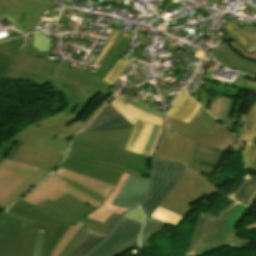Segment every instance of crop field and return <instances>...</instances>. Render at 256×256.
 Masks as SVG:
<instances>
[{"label": "crop field", "instance_id": "1", "mask_svg": "<svg viewBox=\"0 0 256 256\" xmlns=\"http://www.w3.org/2000/svg\"><path fill=\"white\" fill-rule=\"evenodd\" d=\"M93 210L94 208L91 206L67 194L54 202L48 199L34 207L18 200L6 211L23 219L33 221L30 229L44 230L42 256H50L58 242L72 226L77 227L79 224L84 223L59 255L61 256L86 225L109 232L119 218V216L113 214L101 224L85 217Z\"/></svg>", "mask_w": 256, "mask_h": 256}, {"label": "crop field", "instance_id": "2", "mask_svg": "<svg viewBox=\"0 0 256 256\" xmlns=\"http://www.w3.org/2000/svg\"><path fill=\"white\" fill-rule=\"evenodd\" d=\"M166 128L157 158L186 166V172L158 205L180 216H184L207 201L218 188L209 183L200 172L187 168L195 142Z\"/></svg>", "mask_w": 256, "mask_h": 256}, {"label": "crop field", "instance_id": "3", "mask_svg": "<svg viewBox=\"0 0 256 256\" xmlns=\"http://www.w3.org/2000/svg\"><path fill=\"white\" fill-rule=\"evenodd\" d=\"M150 157L74 138L60 167L116 185L123 171L141 176L125 168L133 164L146 168Z\"/></svg>", "mask_w": 256, "mask_h": 256}, {"label": "crop field", "instance_id": "4", "mask_svg": "<svg viewBox=\"0 0 256 256\" xmlns=\"http://www.w3.org/2000/svg\"><path fill=\"white\" fill-rule=\"evenodd\" d=\"M69 146V140L38 127L18 140L5 158L53 171Z\"/></svg>", "mask_w": 256, "mask_h": 256}, {"label": "crop field", "instance_id": "5", "mask_svg": "<svg viewBox=\"0 0 256 256\" xmlns=\"http://www.w3.org/2000/svg\"><path fill=\"white\" fill-rule=\"evenodd\" d=\"M26 46L27 50H19L9 67L11 71L4 78L33 81L41 86L55 89L63 94L68 102L66 108L62 111L67 114L72 113L77 106V97L63 85L55 83L63 64L52 63L47 59L35 58L37 48L32 49V42H26Z\"/></svg>", "mask_w": 256, "mask_h": 256}, {"label": "crop field", "instance_id": "6", "mask_svg": "<svg viewBox=\"0 0 256 256\" xmlns=\"http://www.w3.org/2000/svg\"><path fill=\"white\" fill-rule=\"evenodd\" d=\"M63 176L106 197H109L114 189V186L58 167L55 172H53L48 178H46L32 190H30V192L21 198V200L34 206L48 198L54 201L69 193L83 200L94 208H98L101 205V203L87 197L86 195L63 182Z\"/></svg>", "mask_w": 256, "mask_h": 256}, {"label": "crop field", "instance_id": "7", "mask_svg": "<svg viewBox=\"0 0 256 256\" xmlns=\"http://www.w3.org/2000/svg\"><path fill=\"white\" fill-rule=\"evenodd\" d=\"M131 40L132 38L123 36L117 50L111 52L94 75L65 67L63 68L57 82L69 88L79 99L78 106L73 114L77 116L85 104L98 93H101L104 96L109 94L107 91L111 86L101 80L121 54L129 50Z\"/></svg>", "mask_w": 256, "mask_h": 256}, {"label": "crop field", "instance_id": "8", "mask_svg": "<svg viewBox=\"0 0 256 256\" xmlns=\"http://www.w3.org/2000/svg\"><path fill=\"white\" fill-rule=\"evenodd\" d=\"M31 223L6 212L0 215V256H32L36 231L29 230Z\"/></svg>", "mask_w": 256, "mask_h": 256}, {"label": "crop field", "instance_id": "9", "mask_svg": "<svg viewBox=\"0 0 256 256\" xmlns=\"http://www.w3.org/2000/svg\"><path fill=\"white\" fill-rule=\"evenodd\" d=\"M185 171V167L171 164L160 159L155 160V172L148 195L141 204L145 215L149 216L155 207L170 192Z\"/></svg>", "mask_w": 256, "mask_h": 256}, {"label": "crop field", "instance_id": "10", "mask_svg": "<svg viewBox=\"0 0 256 256\" xmlns=\"http://www.w3.org/2000/svg\"><path fill=\"white\" fill-rule=\"evenodd\" d=\"M113 97V95L109 94L107 98L100 104V106L92 113V115L85 121L82 122L81 120H78L77 117L70 114L67 115L64 112L60 111L54 116L37 121L35 123H32L28 125L25 129H23L20 133L16 134L15 136L9 138L17 141L20 139L23 135H25L27 132L32 130L33 128L40 126L56 135L62 136L71 139V137L77 132L82 130L83 128L87 127L93 119L96 117L99 110ZM101 111V110H100Z\"/></svg>", "mask_w": 256, "mask_h": 256}, {"label": "crop field", "instance_id": "11", "mask_svg": "<svg viewBox=\"0 0 256 256\" xmlns=\"http://www.w3.org/2000/svg\"><path fill=\"white\" fill-rule=\"evenodd\" d=\"M141 223L122 218L110 236L86 256H117L138 243Z\"/></svg>", "mask_w": 256, "mask_h": 256}, {"label": "crop field", "instance_id": "12", "mask_svg": "<svg viewBox=\"0 0 256 256\" xmlns=\"http://www.w3.org/2000/svg\"><path fill=\"white\" fill-rule=\"evenodd\" d=\"M167 125L187 137L203 143L219 152L229 149L230 145L237 138L228 129L224 128L219 122L215 124L210 132L191 126L168 117Z\"/></svg>", "mask_w": 256, "mask_h": 256}, {"label": "crop field", "instance_id": "13", "mask_svg": "<svg viewBox=\"0 0 256 256\" xmlns=\"http://www.w3.org/2000/svg\"><path fill=\"white\" fill-rule=\"evenodd\" d=\"M239 203L235 202L216 217L201 214L192 236L187 256H191L196 244L218 246L222 237L227 219L233 213Z\"/></svg>", "mask_w": 256, "mask_h": 256}, {"label": "crop field", "instance_id": "14", "mask_svg": "<svg viewBox=\"0 0 256 256\" xmlns=\"http://www.w3.org/2000/svg\"><path fill=\"white\" fill-rule=\"evenodd\" d=\"M38 169L39 167L4 159L0 164V204Z\"/></svg>", "mask_w": 256, "mask_h": 256}, {"label": "crop field", "instance_id": "15", "mask_svg": "<svg viewBox=\"0 0 256 256\" xmlns=\"http://www.w3.org/2000/svg\"><path fill=\"white\" fill-rule=\"evenodd\" d=\"M7 2L24 12L16 22H18L26 32L34 28L43 12L57 7L51 2L47 3L43 0H9Z\"/></svg>", "mask_w": 256, "mask_h": 256}, {"label": "crop field", "instance_id": "16", "mask_svg": "<svg viewBox=\"0 0 256 256\" xmlns=\"http://www.w3.org/2000/svg\"><path fill=\"white\" fill-rule=\"evenodd\" d=\"M238 138L247 142L244 148L247 169L256 171V102L252 104Z\"/></svg>", "mask_w": 256, "mask_h": 256}, {"label": "crop field", "instance_id": "17", "mask_svg": "<svg viewBox=\"0 0 256 256\" xmlns=\"http://www.w3.org/2000/svg\"><path fill=\"white\" fill-rule=\"evenodd\" d=\"M132 127V123L108 103L85 131H114Z\"/></svg>", "mask_w": 256, "mask_h": 256}, {"label": "crop field", "instance_id": "18", "mask_svg": "<svg viewBox=\"0 0 256 256\" xmlns=\"http://www.w3.org/2000/svg\"><path fill=\"white\" fill-rule=\"evenodd\" d=\"M147 185L148 179L130 174L123 190L114 200L113 204L132 208L143 197Z\"/></svg>", "mask_w": 256, "mask_h": 256}, {"label": "crop field", "instance_id": "19", "mask_svg": "<svg viewBox=\"0 0 256 256\" xmlns=\"http://www.w3.org/2000/svg\"><path fill=\"white\" fill-rule=\"evenodd\" d=\"M222 153L196 142L189 168L213 174L217 164L221 161Z\"/></svg>", "mask_w": 256, "mask_h": 256}, {"label": "crop field", "instance_id": "20", "mask_svg": "<svg viewBox=\"0 0 256 256\" xmlns=\"http://www.w3.org/2000/svg\"><path fill=\"white\" fill-rule=\"evenodd\" d=\"M221 49L211 48L213 56L223 65L256 76V63L248 62L237 56L228 43H221Z\"/></svg>", "mask_w": 256, "mask_h": 256}, {"label": "crop field", "instance_id": "21", "mask_svg": "<svg viewBox=\"0 0 256 256\" xmlns=\"http://www.w3.org/2000/svg\"><path fill=\"white\" fill-rule=\"evenodd\" d=\"M132 129L118 130L114 132L80 131L75 137L123 149Z\"/></svg>", "mask_w": 256, "mask_h": 256}, {"label": "crop field", "instance_id": "22", "mask_svg": "<svg viewBox=\"0 0 256 256\" xmlns=\"http://www.w3.org/2000/svg\"><path fill=\"white\" fill-rule=\"evenodd\" d=\"M129 176V173L123 172L122 177L120 178L118 184L116 185L115 190L110 195L109 198L102 204V206L98 209H95L92 213H90L87 217L96 220L98 222L103 223L107 218H109L113 213L122 215L124 212H126L128 209L123 208L117 205L111 204L113 200L116 198V196L121 191L127 177Z\"/></svg>", "mask_w": 256, "mask_h": 256}, {"label": "crop field", "instance_id": "23", "mask_svg": "<svg viewBox=\"0 0 256 256\" xmlns=\"http://www.w3.org/2000/svg\"><path fill=\"white\" fill-rule=\"evenodd\" d=\"M214 72L215 69L212 72L208 71L202 75L201 79L208 81L206 86L221 92L222 95L229 97L236 96L239 94L240 86L245 78V75L240 73L233 83L225 81L224 83H222L217 82L216 80H214L213 77H210Z\"/></svg>", "mask_w": 256, "mask_h": 256}, {"label": "crop field", "instance_id": "24", "mask_svg": "<svg viewBox=\"0 0 256 256\" xmlns=\"http://www.w3.org/2000/svg\"><path fill=\"white\" fill-rule=\"evenodd\" d=\"M51 171L40 168L34 175L28 177L2 204L1 208L6 209L27 191H29L33 186L42 181L47 177Z\"/></svg>", "mask_w": 256, "mask_h": 256}, {"label": "crop field", "instance_id": "25", "mask_svg": "<svg viewBox=\"0 0 256 256\" xmlns=\"http://www.w3.org/2000/svg\"><path fill=\"white\" fill-rule=\"evenodd\" d=\"M234 198L248 206H252L256 201V176L251 175L247 182L238 190Z\"/></svg>", "mask_w": 256, "mask_h": 256}, {"label": "crop field", "instance_id": "26", "mask_svg": "<svg viewBox=\"0 0 256 256\" xmlns=\"http://www.w3.org/2000/svg\"><path fill=\"white\" fill-rule=\"evenodd\" d=\"M122 109H124L128 114H130L132 117L136 118V119H139L141 121H145V122H149V123H153V124H157V125H161L163 126V122L164 120L158 118V117H155V116H152L150 114H147V113H144L130 105H124L118 97H114L113 99Z\"/></svg>", "mask_w": 256, "mask_h": 256}, {"label": "crop field", "instance_id": "27", "mask_svg": "<svg viewBox=\"0 0 256 256\" xmlns=\"http://www.w3.org/2000/svg\"><path fill=\"white\" fill-rule=\"evenodd\" d=\"M165 224L151 217H146L140 237L141 246L148 242Z\"/></svg>", "mask_w": 256, "mask_h": 256}, {"label": "crop field", "instance_id": "28", "mask_svg": "<svg viewBox=\"0 0 256 256\" xmlns=\"http://www.w3.org/2000/svg\"><path fill=\"white\" fill-rule=\"evenodd\" d=\"M245 100L240 99L239 101H235V99L230 100L228 107L224 113V116L221 120L222 124L230 129H232L235 118L238 115L240 107Z\"/></svg>", "mask_w": 256, "mask_h": 256}, {"label": "crop field", "instance_id": "29", "mask_svg": "<svg viewBox=\"0 0 256 256\" xmlns=\"http://www.w3.org/2000/svg\"><path fill=\"white\" fill-rule=\"evenodd\" d=\"M248 207L240 204L237 209L234 211V213L232 214V216L229 218L223 237L221 239L220 245L219 247H222V245L228 241V238L225 237L226 234H232L236 224L238 223V221L243 217V215L248 211Z\"/></svg>", "mask_w": 256, "mask_h": 256}, {"label": "crop field", "instance_id": "30", "mask_svg": "<svg viewBox=\"0 0 256 256\" xmlns=\"http://www.w3.org/2000/svg\"><path fill=\"white\" fill-rule=\"evenodd\" d=\"M103 238L105 237L88 232V234L78 244V246L74 249L71 255L82 256L87 251H89L93 246H95L99 241H101Z\"/></svg>", "mask_w": 256, "mask_h": 256}, {"label": "crop field", "instance_id": "31", "mask_svg": "<svg viewBox=\"0 0 256 256\" xmlns=\"http://www.w3.org/2000/svg\"><path fill=\"white\" fill-rule=\"evenodd\" d=\"M22 13L23 12L19 11L16 7L10 5L6 1L0 0V20L2 21L6 17L12 23H14L18 28H20L23 31V33H26L24 29L18 23L15 22Z\"/></svg>", "mask_w": 256, "mask_h": 256}, {"label": "crop field", "instance_id": "32", "mask_svg": "<svg viewBox=\"0 0 256 256\" xmlns=\"http://www.w3.org/2000/svg\"><path fill=\"white\" fill-rule=\"evenodd\" d=\"M199 106L200 105H198L189 97L188 100L175 114L174 119L189 123L190 119L192 118L196 110L199 108Z\"/></svg>", "mask_w": 256, "mask_h": 256}, {"label": "crop field", "instance_id": "33", "mask_svg": "<svg viewBox=\"0 0 256 256\" xmlns=\"http://www.w3.org/2000/svg\"><path fill=\"white\" fill-rule=\"evenodd\" d=\"M229 31L247 48L254 44L256 40L244 33L232 20L229 18L225 23Z\"/></svg>", "mask_w": 256, "mask_h": 256}, {"label": "crop field", "instance_id": "34", "mask_svg": "<svg viewBox=\"0 0 256 256\" xmlns=\"http://www.w3.org/2000/svg\"><path fill=\"white\" fill-rule=\"evenodd\" d=\"M130 61L131 60L123 62L119 58L118 61L114 64V66L111 68V70L108 72V74L104 77L102 81L113 86Z\"/></svg>", "mask_w": 256, "mask_h": 256}, {"label": "crop field", "instance_id": "35", "mask_svg": "<svg viewBox=\"0 0 256 256\" xmlns=\"http://www.w3.org/2000/svg\"><path fill=\"white\" fill-rule=\"evenodd\" d=\"M216 122L217 120L212 117L206 110L203 109L200 117L196 118L193 116L189 124L210 131Z\"/></svg>", "mask_w": 256, "mask_h": 256}, {"label": "crop field", "instance_id": "36", "mask_svg": "<svg viewBox=\"0 0 256 256\" xmlns=\"http://www.w3.org/2000/svg\"><path fill=\"white\" fill-rule=\"evenodd\" d=\"M146 125L147 124L140 123V122L135 124L134 129L131 133V136H130V138L127 142V145L125 147V150H129V151H133V152L135 151Z\"/></svg>", "mask_w": 256, "mask_h": 256}, {"label": "crop field", "instance_id": "37", "mask_svg": "<svg viewBox=\"0 0 256 256\" xmlns=\"http://www.w3.org/2000/svg\"><path fill=\"white\" fill-rule=\"evenodd\" d=\"M151 217L153 218H156L158 220H161L163 222H166L168 224H172V225H177L182 217L176 215V214H173L167 210H164L160 207H158L155 212L151 215Z\"/></svg>", "mask_w": 256, "mask_h": 256}, {"label": "crop field", "instance_id": "38", "mask_svg": "<svg viewBox=\"0 0 256 256\" xmlns=\"http://www.w3.org/2000/svg\"><path fill=\"white\" fill-rule=\"evenodd\" d=\"M50 43L51 38H45L38 30L33 32V48L38 47L37 51L49 52Z\"/></svg>", "mask_w": 256, "mask_h": 256}, {"label": "crop field", "instance_id": "39", "mask_svg": "<svg viewBox=\"0 0 256 256\" xmlns=\"http://www.w3.org/2000/svg\"><path fill=\"white\" fill-rule=\"evenodd\" d=\"M17 40L18 42L16 44L12 42L0 44V54L14 58L19 49L21 38H18Z\"/></svg>", "mask_w": 256, "mask_h": 256}, {"label": "crop field", "instance_id": "40", "mask_svg": "<svg viewBox=\"0 0 256 256\" xmlns=\"http://www.w3.org/2000/svg\"><path fill=\"white\" fill-rule=\"evenodd\" d=\"M81 225L78 226L77 228H74V227L71 228V230L66 234V236L59 242L58 246L56 247V249L54 250L51 256H58L62 252V250L65 248L66 244L68 243V241L76 233V231L81 227Z\"/></svg>", "mask_w": 256, "mask_h": 256}, {"label": "crop field", "instance_id": "41", "mask_svg": "<svg viewBox=\"0 0 256 256\" xmlns=\"http://www.w3.org/2000/svg\"><path fill=\"white\" fill-rule=\"evenodd\" d=\"M63 181L67 182L68 184H70L71 186L75 187L79 191L83 192L84 194H86V195H88V196H90V197H92V198H94V199H96V200H98V201H100L102 203L106 200V197H104L102 195H99V194H97V193H95L93 191H90V190H88V189H86V188H84V187H82V186H80V185H78V184H76V183L66 179V178H64Z\"/></svg>", "mask_w": 256, "mask_h": 256}, {"label": "crop field", "instance_id": "42", "mask_svg": "<svg viewBox=\"0 0 256 256\" xmlns=\"http://www.w3.org/2000/svg\"><path fill=\"white\" fill-rule=\"evenodd\" d=\"M189 96L185 92V90L177 97V99L172 104L170 110L167 112V115L173 118L174 114L181 107V105L186 101Z\"/></svg>", "mask_w": 256, "mask_h": 256}, {"label": "crop field", "instance_id": "43", "mask_svg": "<svg viewBox=\"0 0 256 256\" xmlns=\"http://www.w3.org/2000/svg\"><path fill=\"white\" fill-rule=\"evenodd\" d=\"M159 128H160L159 126H155V125L153 126V129L151 131L150 137H149V139H148V141H147V143H146V145H145V147H144V149H143L141 154L147 155V156L149 155V153L151 151V148H152V146L154 144V141H155V139H156V137L158 135Z\"/></svg>", "mask_w": 256, "mask_h": 256}, {"label": "crop field", "instance_id": "44", "mask_svg": "<svg viewBox=\"0 0 256 256\" xmlns=\"http://www.w3.org/2000/svg\"><path fill=\"white\" fill-rule=\"evenodd\" d=\"M128 104H130V105H132V106H134V107H136V108H138V109H140V110H142L144 112H147V113H150V114H153L155 116L163 118V113H161V112H159V111H157L155 109H152L150 107H147V106H145V105H143L141 103H138V102H136V101H134L132 99L130 100V102Z\"/></svg>", "mask_w": 256, "mask_h": 256}, {"label": "crop field", "instance_id": "45", "mask_svg": "<svg viewBox=\"0 0 256 256\" xmlns=\"http://www.w3.org/2000/svg\"><path fill=\"white\" fill-rule=\"evenodd\" d=\"M12 61L13 58L0 55V78H3L9 72L7 69Z\"/></svg>", "mask_w": 256, "mask_h": 256}, {"label": "crop field", "instance_id": "46", "mask_svg": "<svg viewBox=\"0 0 256 256\" xmlns=\"http://www.w3.org/2000/svg\"><path fill=\"white\" fill-rule=\"evenodd\" d=\"M117 34H118V31L114 30L113 33L111 34L109 40L107 41L105 47L100 51L96 60L94 61L95 64H98V62L101 60V58L107 52L108 48L110 47L111 43L113 42V40L115 39Z\"/></svg>", "mask_w": 256, "mask_h": 256}, {"label": "crop field", "instance_id": "47", "mask_svg": "<svg viewBox=\"0 0 256 256\" xmlns=\"http://www.w3.org/2000/svg\"><path fill=\"white\" fill-rule=\"evenodd\" d=\"M124 218H128L134 221L141 222L143 221V214L140 210V208H136L124 215Z\"/></svg>", "mask_w": 256, "mask_h": 256}, {"label": "crop field", "instance_id": "48", "mask_svg": "<svg viewBox=\"0 0 256 256\" xmlns=\"http://www.w3.org/2000/svg\"><path fill=\"white\" fill-rule=\"evenodd\" d=\"M42 245H43V231L37 230V241H36L33 256L42 255Z\"/></svg>", "mask_w": 256, "mask_h": 256}, {"label": "crop field", "instance_id": "49", "mask_svg": "<svg viewBox=\"0 0 256 256\" xmlns=\"http://www.w3.org/2000/svg\"><path fill=\"white\" fill-rule=\"evenodd\" d=\"M152 126L153 125H150V124L147 125V127H146V129L144 131V134H143V136H142V138H141V140L139 142V145H138V147H137V149L135 151L136 153H139V154L141 153V151H142V149L144 147V144H145V142H146V140H147V138H148V136L150 134Z\"/></svg>", "mask_w": 256, "mask_h": 256}, {"label": "crop field", "instance_id": "50", "mask_svg": "<svg viewBox=\"0 0 256 256\" xmlns=\"http://www.w3.org/2000/svg\"><path fill=\"white\" fill-rule=\"evenodd\" d=\"M15 144L13 140H7L5 143L0 145V163L4 159L5 155L9 151V149Z\"/></svg>", "mask_w": 256, "mask_h": 256}, {"label": "crop field", "instance_id": "51", "mask_svg": "<svg viewBox=\"0 0 256 256\" xmlns=\"http://www.w3.org/2000/svg\"><path fill=\"white\" fill-rule=\"evenodd\" d=\"M87 231L82 230L81 233L76 237V239L73 241V243L70 245V247L67 249L66 253H71L73 249L76 247V245L83 239V237L86 235Z\"/></svg>", "mask_w": 256, "mask_h": 256}, {"label": "crop field", "instance_id": "52", "mask_svg": "<svg viewBox=\"0 0 256 256\" xmlns=\"http://www.w3.org/2000/svg\"><path fill=\"white\" fill-rule=\"evenodd\" d=\"M122 34H123V33L119 32V34L117 35V37H116V39L114 40L113 44H112L111 47L109 48L108 52H107L106 55L103 57V59L100 61L99 65L102 64V62L106 59V57L110 54V52H111L112 50H115V49H116V47H117V45H118V43H119V41H120V39H121V37H122Z\"/></svg>", "mask_w": 256, "mask_h": 256}, {"label": "crop field", "instance_id": "53", "mask_svg": "<svg viewBox=\"0 0 256 256\" xmlns=\"http://www.w3.org/2000/svg\"><path fill=\"white\" fill-rule=\"evenodd\" d=\"M241 88L249 90V91L256 92V82L245 79Z\"/></svg>", "mask_w": 256, "mask_h": 256}, {"label": "crop field", "instance_id": "54", "mask_svg": "<svg viewBox=\"0 0 256 256\" xmlns=\"http://www.w3.org/2000/svg\"><path fill=\"white\" fill-rule=\"evenodd\" d=\"M113 107H115L120 113H122L127 119H129L133 125L138 121L128 115L124 110H122L113 100L109 102Z\"/></svg>", "mask_w": 256, "mask_h": 256}, {"label": "crop field", "instance_id": "55", "mask_svg": "<svg viewBox=\"0 0 256 256\" xmlns=\"http://www.w3.org/2000/svg\"><path fill=\"white\" fill-rule=\"evenodd\" d=\"M241 29L247 34H249L250 36H252L254 39H256V28L254 26L252 25L248 27L244 26Z\"/></svg>", "mask_w": 256, "mask_h": 256}, {"label": "crop field", "instance_id": "56", "mask_svg": "<svg viewBox=\"0 0 256 256\" xmlns=\"http://www.w3.org/2000/svg\"><path fill=\"white\" fill-rule=\"evenodd\" d=\"M223 29L225 30V32L228 34V36L231 38V40L238 45L242 50H246V48L228 31V29L225 27V25H223Z\"/></svg>", "mask_w": 256, "mask_h": 256}, {"label": "crop field", "instance_id": "57", "mask_svg": "<svg viewBox=\"0 0 256 256\" xmlns=\"http://www.w3.org/2000/svg\"><path fill=\"white\" fill-rule=\"evenodd\" d=\"M231 45H232L234 48H236L240 53H242L244 56L256 60V57H255V56H252V55H250V54H247V53L243 52V51H242L238 46H236L233 42L231 43Z\"/></svg>", "mask_w": 256, "mask_h": 256}, {"label": "crop field", "instance_id": "58", "mask_svg": "<svg viewBox=\"0 0 256 256\" xmlns=\"http://www.w3.org/2000/svg\"><path fill=\"white\" fill-rule=\"evenodd\" d=\"M161 131H162V127L160 128L159 135H158V137H157V139H156V142H155V144H154V146H153V148H152V151H151V153H150V155H149V156H151V157L153 156L154 151H155V149H156V146H157L158 140H159V138H160V136H161Z\"/></svg>", "mask_w": 256, "mask_h": 256}, {"label": "crop field", "instance_id": "59", "mask_svg": "<svg viewBox=\"0 0 256 256\" xmlns=\"http://www.w3.org/2000/svg\"><path fill=\"white\" fill-rule=\"evenodd\" d=\"M247 53L253 54L256 56V44L252 45L247 51Z\"/></svg>", "mask_w": 256, "mask_h": 256}, {"label": "crop field", "instance_id": "60", "mask_svg": "<svg viewBox=\"0 0 256 256\" xmlns=\"http://www.w3.org/2000/svg\"><path fill=\"white\" fill-rule=\"evenodd\" d=\"M89 231H92V232H95V233H98V234H101V235H104V236L107 235V232L101 231V230L96 229V228H91Z\"/></svg>", "mask_w": 256, "mask_h": 256}, {"label": "crop field", "instance_id": "61", "mask_svg": "<svg viewBox=\"0 0 256 256\" xmlns=\"http://www.w3.org/2000/svg\"><path fill=\"white\" fill-rule=\"evenodd\" d=\"M202 109H203V108L200 106V108L198 109V111L195 113V116L198 117V116L200 115Z\"/></svg>", "mask_w": 256, "mask_h": 256}, {"label": "crop field", "instance_id": "62", "mask_svg": "<svg viewBox=\"0 0 256 256\" xmlns=\"http://www.w3.org/2000/svg\"><path fill=\"white\" fill-rule=\"evenodd\" d=\"M134 33H135V32L128 31L127 35H128V36H132V37H133V36H134Z\"/></svg>", "mask_w": 256, "mask_h": 256}, {"label": "crop field", "instance_id": "63", "mask_svg": "<svg viewBox=\"0 0 256 256\" xmlns=\"http://www.w3.org/2000/svg\"><path fill=\"white\" fill-rule=\"evenodd\" d=\"M205 99H206L205 97H202L198 103H200L202 105V103L205 101Z\"/></svg>", "mask_w": 256, "mask_h": 256}, {"label": "crop field", "instance_id": "64", "mask_svg": "<svg viewBox=\"0 0 256 256\" xmlns=\"http://www.w3.org/2000/svg\"><path fill=\"white\" fill-rule=\"evenodd\" d=\"M248 229L256 228V225L247 227Z\"/></svg>", "mask_w": 256, "mask_h": 256}, {"label": "crop field", "instance_id": "65", "mask_svg": "<svg viewBox=\"0 0 256 256\" xmlns=\"http://www.w3.org/2000/svg\"><path fill=\"white\" fill-rule=\"evenodd\" d=\"M207 100H209V98H207ZM205 101L204 104L202 105L203 107L207 104L208 101Z\"/></svg>", "mask_w": 256, "mask_h": 256}, {"label": "crop field", "instance_id": "66", "mask_svg": "<svg viewBox=\"0 0 256 256\" xmlns=\"http://www.w3.org/2000/svg\"><path fill=\"white\" fill-rule=\"evenodd\" d=\"M85 229L89 230V229H90V227L86 226V227H85Z\"/></svg>", "mask_w": 256, "mask_h": 256}, {"label": "crop field", "instance_id": "67", "mask_svg": "<svg viewBox=\"0 0 256 256\" xmlns=\"http://www.w3.org/2000/svg\"><path fill=\"white\" fill-rule=\"evenodd\" d=\"M254 224H256V221L254 223H252L251 225H254Z\"/></svg>", "mask_w": 256, "mask_h": 256}, {"label": "crop field", "instance_id": "68", "mask_svg": "<svg viewBox=\"0 0 256 256\" xmlns=\"http://www.w3.org/2000/svg\"><path fill=\"white\" fill-rule=\"evenodd\" d=\"M65 255H66V253L63 254V256H65ZM66 256H67V255H66Z\"/></svg>", "mask_w": 256, "mask_h": 256}, {"label": "crop field", "instance_id": "69", "mask_svg": "<svg viewBox=\"0 0 256 256\" xmlns=\"http://www.w3.org/2000/svg\"><path fill=\"white\" fill-rule=\"evenodd\" d=\"M213 1H215V2H216L217 0H213Z\"/></svg>", "mask_w": 256, "mask_h": 256}, {"label": "crop field", "instance_id": "70", "mask_svg": "<svg viewBox=\"0 0 256 256\" xmlns=\"http://www.w3.org/2000/svg\"><path fill=\"white\" fill-rule=\"evenodd\" d=\"M67 256H71V255H68V254H67Z\"/></svg>", "mask_w": 256, "mask_h": 256}, {"label": "crop field", "instance_id": "71", "mask_svg": "<svg viewBox=\"0 0 256 256\" xmlns=\"http://www.w3.org/2000/svg\"><path fill=\"white\" fill-rule=\"evenodd\" d=\"M7 1V0H6Z\"/></svg>", "mask_w": 256, "mask_h": 256}]
</instances>
